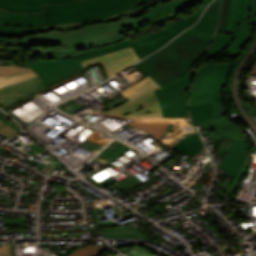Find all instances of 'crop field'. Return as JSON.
Returning a JSON list of instances; mask_svg holds the SVG:
<instances>
[{
  "instance_id": "8a807250",
  "label": "crop field",
  "mask_w": 256,
  "mask_h": 256,
  "mask_svg": "<svg viewBox=\"0 0 256 256\" xmlns=\"http://www.w3.org/2000/svg\"><path fill=\"white\" fill-rule=\"evenodd\" d=\"M149 23L143 17L115 25L93 23L75 31L48 32L23 37L30 59L38 54L41 60L79 57L77 51L125 40L121 33Z\"/></svg>"
},
{
  "instance_id": "ac0d7876",
  "label": "crop field",
  "mask_w": 256,
  "mask_h": 256,
  "mask_svg": "<svg viewBox=\"0 0 256 256\" xmlns=\"http://www.w3.org/2000/svg\"><path fill=\"white\" fill-rule=\"evenodd\" d=\"M209 43L183 32L159 52L133 66L164 87L189 73Z\"/></svg>"
},
{
  "instance_id": "34b2d1b8",
  "label": "crop field",
  "mask_w": 256,
  "mask_h": 256,
  "mask_svg": "<svg viewBox=\"0 0 256 256\" xmlns=\"http://www.w3.org/2000/svg\"><path fill=\"white\" fill-rule=\"evenodd\" d=\"M148 1L151 0H90L46 5L44 25L95 20L135 8Z\"/></svg>"
},
{
  "instance_id": "412701ff",
  "label": "crop field",
  "mask_w": 256,
  "mask_h": 256,
  "mask_svg": "<svg viewBox=\"0 0 256 256\" xmlns=\"http://www.w3.org/2000/svg\"><path fill=\"white\" fill-rule=\"evenodd\" d=\"M211 0H204L201 7L195 11L191 16H189L188 19H184L178 23H175L173 25H170L166 27L164 31L155 33L153 35L146 36L144 38H141L137 41H132V40H125L121 43L113 44V45H108V46H103V47H98V48H93L85 51H80V59L85 60L91 57L103 55L106 53L118 51L125 49L127 47L132 46L138 56L143 58L144 56L148 55L152 51L162 47L164 44H166L171 38L176 36L178 33H180L182 30L188 28L191 26L193 23L196 22L198 19L199 15L201 12L204 10L205 6L210 2Z\"/></svg>"
},
{
  "instance_id": "f4fd0767",
  "label": "crop field",
  "mask_w": 256,
  "mask_h": 256,
  "mask_svg": "<svg viewBox=\"0 0 256 256\" xmlns=\"http://www.w3.org/2000/svg\"><path fill=\"white\" fill-rule=\"evenodd\" d=\"M159 88L162 86L147 76L120 91L130 101L105 112L124 118H162L159 102L154 93Z\"/></svg>"
},
{
  "instance_id": "dd49c442",
  "label": "crop field",
  "mask_w": 256,
  "mask_h": 256,
  "mask_svg": "<svg viewBox=\"0 0 256 256\" xmlns=\"http://www.w3.org/2000/svg\"><path fill=\"white\" fill-rule=\"evenodd\" d=\"M43 13L0 9V36L21 37L45 32Z\"/></svg>"
},
{
  "instance_id": "e52e79f7",
  "label": "crop field",
  "mask_w": 256,
  "mask_h": 256,
  "mask_svg": "<svg viewBox=\"0 0 256 256\" xmlns=\"http://www.w3.org/2000/svg\"><path fill=\"white\" fill-rule=\"evenodd\" d=\"M191 79L192 73L190 72L179 79L180 81L172 83L156 92L163 118H189L187 112V91Z\"/></svg>"
},
{
  "instance_id": "d8731c3e",
  "label": "crop field",
  "mask_w": 256,
  "mask_h": 256,
  "mask_svg": "<svg viewBox=\"0 0 256 256\" xmlns=\"http://www.w3.org/2000/svg\"><path fill=\"white\" fill-rule=\"evenodd\" d=\"M192 123L210 129L233 140L248 141L243 132L222 116L211 120V104L191 106Z\"/></svg>"
},
{
  "instance_id": "5a996713",
  "label": "crop field",
  "mask_w": 256,
  "mask_h": 256,
  "mask_svg": "<svg viewBox=\"0 0 256 256\" xmlns=\"http://www.w3.org/2000/svg\"><path fill=\"white\" fill-rule=\"evenodd\" d=\"M30 67L40 75L44 88L83 70L79 58L45 60L32 63Z\"/></svg>"
},
{
  "instance_id": "3316defc",
  "label": "crop field",
  "mask_w": 256,
  "mask_h": 256,
  "mask_svg": "<svg viewBox=\"0 0 256 256\" xmlns=\"http://www.w3.org/2000/svg\"><path fill=\"white\" fill-rule=\"evenodd\" d=\"M219 69L196 77L190 89L189 106L196 104L212 103V119L223 114V103H215L214 89Z\"/></svg>"
},
{
  "instance_id": "28ad6ade",
  "label": "crop field",
  "mask_w": 256,
  "mask_h": 256,
  "mask_svg": "<svg viewBox=\"0 0 256 256\" xmlns=\"http://www.w3.org/2000/svg\"><path fill=\"white\" fill-rule=\"evenodd\" d=\"M138 60H140L139 57H137V54L135 53L134 49L130 47L122 51L91 58L82 61L81 63L84 67L101 61L110 77L118 73L119 71L125 69L126 67L130 66L131 64L135 63Z\"/></svg>"
},
{
  "instance_id": "d1516ede",
  "label": "crop field",
  "mask_w": 256,
  "mask_h": 256,
  "mask_svg": "<svg viewBox=\"0 0 256 256\" xmlns=\"http://www.w3.org/2000/svg\"><path fill=\"white\" fill-rule=\"evenodd\" d=\"M42 89L39 77L0 89V107L4 108Z\"/></svg>"
},
{
  "instance_id": "22f410ed",
  "label": "crop field",
  "mask_w": 256,
  "mask_h": 256,
  "mask_svg": "<svg viewBox=\"0 0 256 256\" xmlns=\"http://www.w3.org/2000/svg\"><path fill=\"white\" fill-rule=\"evenodd\" d=\"M256 0L251 1V11L249 21L241 20L238 33L231 44L219 55L238 56L244 45L249 40L252 32L256 30Z\"/></svg>"
},
{
  "instance_id": "cbeb9de0",
  "label": "crop field",
  "mask_w": 256,
  "mask_h": 256,
  "mask_svg": "<svg viewBox=\"0 0 256 256\" xmlns=\"http://www.w3.org/2000/svg\"><path fill=\"white\" fill-rule=\"evenodd\" d=\"M245 142L232 141V145L218 167L226 170L225 175L234 178L245 156Z\"/></svg>"
},
{
  "instance_id": "5142ce71",
  "label": "crop field",
  "mask_w": 256,
  "mask_h": 256,
  "mask_svg": "<svg viewBox=\"0 0 256 256\" xmlns=\"http://www.w3.org/2000/svg\"><path fill=\"white\" fill-rule=\"evenodd\" d=\"M167 146L182 151L193 158V156L204 146V144L197 131L185 128V134Z\"/></svg>"
},
{
  "instance_id": "d9b57169",
  "label": "crop field",
  "mask_w": 256,
  "mask_h": 256,
  "mask_svg": "<svg viewBox=\"0 0 256 256\" xmlns=\"http://www.w3.org/2000/svg\"><path fill=\"white\" fill-rule=\"evenodd\" d=\"M250 0H231V10L225 33L236 34L240 19L248 20Z\"/></svg>"
},
{
  "instance_id": "733c2abd",
  "label": "crop field",
  "mask_w": 256,
  "mask_h": 256,
  "mask_svg": "<svg viewBox=\"0 0 256 256\" xmlns=\"http://www.w3.org/2000/svg\"><path fill=\"white\" fill-rule=\"evenodd\" d=\"M140 17L138 13L135 11V9L116 14L110 17L98 19L95 21H90V22H82V23H74V24H66V25H50V26H45L46 31H63V30H74L77 28H80L86 24L92 23V22H104L105 24H114V23H119L122 21H126L129 19L137 18Z\"/></svg>"
},
{
  "instance_id": "4a817a6b",
  "label": "crop field",
  "mask_w": 256,
  "mask_h": 256,
  "mask_svg": "<svg viewBox=\"0 0 256 256\" xmlns=\"http://www.w3.org/2000/svg\"><path fill=\"white\" fill-rule=\"evenodd\" d=\"M202 0H178L169 5L161 7L148 15L144 16L147 21L152 24L154 22L175 16L176 13L196 2H201Z\"/></svg>"
},
{
  "instance_id": "bc2a9ffb",
  "label": "crop field",
  "mask_w": 256,
  "mask_h": 256,
  "mask_svg": "<svg viewBox=\"0 0 256 256\" xmlns=\"http://www.w3.org/2000/svg\"><path fill=\"white\" fill-rule=\"evenodd\" d=\"M221 0H214L206 9L200 21L193 28L200 29L204 32L214 33L217 24Z\"/></svg>"
},
{
  "instance_id": "214f88e0",
  "label": "crop field",
  "mask_w": 256,
  "mask_h": 256,
  "mask_svg": "<svg viewBox=\"0 0 256 256\" xmlns=\"http://www.w3.org/2000/svg\"><path fill=\"white\" fill-rule=\"evenodd\" d=\"M43 3H55V0H0V7L13 11H44Z\"/></svg>"
},
{
  "instance_id": "92a150f3",
  "label": "crop field",
  "mask_w": 256,
  "mask_h": 256,
  "mask_svg": "<svg viewBox=\"0 0 256 256\" xmlns=\"http://www.w3.org/2000/svg\"><path fill=\"white\" fill-rule=\"evenodd\" d=\"M232 64H215V65H208L200 70H197L195 72V77L202 75L208 71L217 69L219 67H221L220 73H219V77H218V81H217V85H216V90H215V100L216 102H223V98H222V89L225 87V84L228 80V76H229V72L231 69Z\"/></svg>"
},
{
  "instance_id": "dafd665d",
  "label": "crop field",
  "mask_w": 256,
  "mask_h": 256,
  "mask_svg": "<svg viewBox=\"0 0 256 256\" xmlns=\"http://www.w3.org/2000/svg\"><path fill=\"white\" fill-rule=\"evenodd\" d=\"M168 123L181 126L182 121L144 120L132 121L129 124L161 138Z\"/></svg>"
},
{
  "instance_id": "00972430",
  "label": "crop field",
  "mask_w": 256,
  "mask_h": 256,
  "mask_svg": "<svg viewBox=\"0 0 256 256\" xmlns=\"http://www.w3.org/2000/svg\"><path fill=\"white\" fill-rule=\"evenodd\" d=\"M105 234H109L110 238H148L146 235L133 227L108 228L105 229Z\"/></svg>"
},
{
  "instance_id": "a9b5d70f",
  "label": "crop field",
  "mask_w": 256,
  "mask_h": 256,
  "mask_svg": "<svg viewBox=\"0 0 256 256\" xmlns=\"http://www.w3.org/2000/svg\"><path fill=\"white\" fill-rule=\"evenodd\" d=\"M37 73L35 72H28V73H22V74H16V75H3L0 76V88L18 83L30 78L37 77Z\"/></svg>"
},
{
  "instance_id": "4177f3b9",
  "label": "crop field",
  "mask_w": 256,
  "mask_h": 256,
  "mask_svg": "<svg viewBox=\"0 0 256 256\" xmlns=\"http://www.w3.org/2000/svg\"><path fill=\"white\" fill-rule=\"evenodd\" d=\"M106 247L107 246H85L78 249L70 256H100L107 250Z\"/></svg>"
},
{
  "instance_id": "730fd06b",
  "label": "crop field",
  "mask_w": 256,
  "mask_h": 256,
  "mask_svg": "<svg viewBox=\"0 0 256 256\" xmlns=\"http://www.w3.org/2000/svg\"><path fill=\"white\" fill-rule=\"evenodd\" d=\"M174 0H153L151 2H148L142 6H139L135 8L137 12L140 14V16L144 15L147 12H150L158 7H161L167 3H170Z\"/></svg>"
},
{
  "instance_id": "eef30255",
  "label": "crop field",
  "mask_w": 256,
  "mask_h": 256,
  "mask_svg": "<svg viewBox=\"0 0 256 256\" xmlns=\"http://www.w3.org/2000/svg\"><path fill=\"white\" fill-rule=\"evenodd\" d=\"M127 149H129V148L127 146H125L124 144L122 146H120L117 150H115L114 152L105 148L98 156L106 159L107 161H106L105 165H107L108 163L113 161L115 158H117L121 153H123Z\"/></svg>"
},
{
  "instance_id": "ae1a2a85",
  "label": "crop field",
  "mask_w": 256,
  "mask_h": 256,
  "mask_svg": "<svg viewBox=\"0 0 256 256\" xmlns=\"http://www.w3.org/2000/svg\"><path fill=\"white\" fill-rule=\"evenodd\" d=\"M229 10H230V0H223L222 13H221V18H220V22H219L217 31L224 32L226 24H227Z\"/></svg>"
},
{
  "instance_id": "d3111659",
  "label": "crop field",
  "mask_w": 256,
  "mask_h": 256,
  "mask_svg": "<svg viewBox=\"0 0 256 256\" xmlns=\"http://www.w3.org/2000/svg\"><path fill=\"white\" fill-rule=\"evenodd\" d=\"M33 71L31 68H23L16 66H0V75L3 74H15L21 72Z\"/></svg>"
},
{
  "instance_id": "750c4746",
  "label": "crop field",
  "mask_w": 256,
  "mask_h": 256,
  "mask_svg": "<svg viewBox=\"0 0 256 256\" xmlns=\"http://www.w3.org/2000/svg\"><path fill=\"white\" fill-rule=\"evenodd\" d=\"M19 132L11 128L9 125L0 120V134L6 135L10 138L17 135Z\"/></svg>"
},
{
  "instance_id": "bd1437ed",
  "label": "crop field",
  "mask_w": 256,
  "mask_h": 256,
  "mask_svg": "<svg viewBox=\"0 0 256 256\" xmlns=\"http://www.w3.org/2000/svg\"><path fill=\"white\" fill-rule=\"evenodd\" d=\"M180 132H181V127L169 124L164 133V136L173 138V137L177 136L178 134H180Z\"/></svg>"
},
{
  "instance_id": "1d83c4d3",
  "label": "crop field",
  "mask_w": 256,
  "mask_h": 256,
  "mask_svg": "<svg viewBox=\"0 0 256 256\" xmlns=\"http://www.w3.org/2000/svg\"><path fill=\"white\" fill-rule=\"evenodd\" d=\"M184 32H186V33H188V34H191V35H193V36H196V37H200V38H204V39H207V40H211V38H212V36L213 35H211V34H207V33H204V32H202V31H200V30H197V29H193V28H190V29H188V30H186V31H184Z\"/></svg>"
},
{
  "instance_id": "120bbe31",
  "label": "crop field",
  "mask_w": 256,
  "mask_h": 256,
  "mask_svg": "<svg viewBox=\"0 0 256 256\" xmlns=\"http://www.w3.org/2000/svg\"><path fill=\"white\" fill-rule=\"evenodd\" d=\"M0 256H11V243L0 247Z\"/></svg>"
},
{
  "instance_id": "d32e631a",
  "label": "crop field",
  "mask_w": 256,
  "mask_h": 256,
  "mask_svg": "<svg viewBox=\"0 0 256 256\" xmlns=\"http://www.w3.org/2000/svg\"><path fill=\"white\" fill-rule=\"evenodd\" d=\"M0 119L18 131L17 126L14 123H12L10 120H8L5 116H3L1 113H0Z\"/></svg>"
},
{
  "instance_id": "5866460e",
  "label": "crop field",
  "mask_w": 256,
  "mask_h": 256,
  "mask_svg": "<svg viewBox=\"0 0 256 256\" xmlns=\"http://www.w3.org/2000/svg\"><path fill=\"white\" fill-rule=\"evenodd\" d=\"M76 1H82V0H56V3H60V2H76Z\"/></svg>"
},
{
  "instance_id": "028f5c9d",
  "label": "crop field",
  "mask_w": 256,
  "mask_h": 256,
  "mask_svg": "<svg viewBox=\"0 0 256 256\" xmlns=\"http://www.w3.org/2000/svg\"><path fill=\"white\" fill-rule=\"evenodd\" d=\"M185 127L191 128V129H195V128L190 124V121H189V120H186ZM195 130H196V129H195Z\"/></svg>"
},
{
  "instance_id": "e1f06a70",
  "label": "crop field",
  "mask_w": 256,
  "mask_h": 256,
  "mask_svg": "<svg viewBox=\"0 0 256 256\" xmlns=\"http://www.w3.org/2000/svg\"><path fill=\"white\" fill-rule=\"evenodd\" d=\"M250 74H255V75H256V62H255V64H254V66H253V68H252Z\"/></svg>"
}]
</instances>
